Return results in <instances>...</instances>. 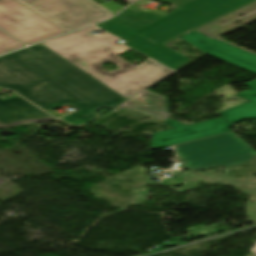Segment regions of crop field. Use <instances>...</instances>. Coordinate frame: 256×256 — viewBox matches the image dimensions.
Returning <instances> with one entry per match:
<instances>
[{
	"label": "crop field",
	"instance_id": "crop-field-1",
	"mask_svg": "<svg viewBox=\"0 0 256 256\" xmlns=\"http://www.w3.org/2000/svg\"><path fill=\"white\" fill-rule=\"evenodd\" d=\"M0 87L54 117L60 116L51 110L64 104L83 109L58 120L78 129L99 117L94 111L126 100L40 44L0 57Z\"/></svg>",
	"mask_w": 256,
	"mask_h": 256
},
{
	"label": "crop field",
	"instance_id": "crop-field-2",
	"mask_svg": "<svg viewBox=\"0 0 256 256\" xmlns=\"http://www.w3.org/2000/svg\"><path fill=\"white\" fill-rule=\"evenodd\" d=\"M177 7L162 16L148 10L126 9L96 26L126 41L124 45L176 70L192 61L165 46L254 0H160Z\"/></svg>",
	"mask_w": 256,
	"mask_h": 256
},
{
	"label": "crop field",
	"instance_id": "crop-field-3",
	"mask_svg": "<svg viewBox=\"0 0 256 256\" xmlns=\"http://www.w3.org/2000/svg\"><path fill=\"white\" fill-rule=\"evenodd\" d=\"M175 148L178 160L187 162V165L175 170L176 173H181L183 169L205 170L222 165L229 168L256 156V151L233 132L179 145Z\"/></svg>",
	"mask_w": 256,
	"mask_h": 256
},
{
	"label": "crop field",
	"instance_id": "crop-field-4",
	"mask_svg": "<svg viewBox=\"0 0 256 256\" xmlns=\"http://www.w3.org/2000/svg\"><path fill=\"white\" fill-rule=\"evenodd\" d=\"M181 38L206 54L225 60L227 62H230L239 67L256 73L255 54L249 53L216 39H210L195 31ZM198 40H205L206 45L203 46L199 44ZM244 84L249 86L250 90L235 95L247 99L249 100V102L219 113L231 125L245 119H256V80Z\"/></svg>",
	"mask_w": 256,
	"mask_h": 256
},
{
	"label": "crop field",
	"instance_id": "crop-field-5",
	"mask_svg": "<svg viewBox=\"0 0 256 256\" xmlns=\"http://www.w3.org/2000/svg\"><path fill=\"white\" fill-rule=\"evenodd\" d=\"M39 16L68 32L112 14L92 0H16ZM130 2L132 0H124ZM56 26V27H57Z\"/></svg>",
	"mask_w": 256,
	"mask_h": 256
},
{
	"label": "crop field",
	"instance_id": "crop-field-6",
	"mask_svg": "<svg viewBox=\"0 0 256 256\" xmlns=\"http://www.w3.org/2000/svg\"><path fill=\"white\" fill-rule=\"evenodd\" d=\"M0 29L28 45L65 33L15 0H0Z\"/></svg>",
	"mask_w": 256,
	"mask_h": 256
},
{
	"label": "crop field",
	"instance_id": "crop-field-7",
	"mask_svg": "<svg viewBox=\"0 0 256 256\" xmlns=\"http://www.w3.org/2000/svg\"><path fill=\"white\" fill-rule=\"evenodd\" d=\"M163 123L175 129L153 134L151 150L229 131L231 126L223 117L189 126L171 119Z\"/></svg>",
	"mask_w": 256,
	"mask_h": 256
},
{
	"label": "crop field",
	"instance_id": "crop-field-8",
	"mask_svg": "<svg viewBox=\"0 0 256 256\" xmlns=\"http://www.w3.org/2000/svg\"><path fill=\"white\" fill-rule=\"evenodd\" d=\"M128 48L117 45L115 43H110L78 57L68 60L70 63L74 64L81 70L85 71L95 79L104 83L132 68L129 63L123 60L121 57L117 56ZM105 61H111L119 66V69L113 72H105L100 69V66Z\"/></svg>",
	"mask_w": 256,
	"mask_h": 256
},
{
	"label": "crop field",
	"instance_id": "crop-field-9",
	"mask_svg": "<svg viewBox=\"0 0 256 256\" xmlns=\"http://www.w3.org/2000/svg\"><path fill=\"white\" fill-rule=\"evenodd\" d=\"M172 72L174 71L147 59L104 84L128 99Z\"/></svg>",
	"mask_w": 256,
	"mask_h": 256
},
{
	"label": "crop field",
	"instance_id": "crop-field-10",
	"mask_svg": "<svg viewBox=\"0 0 256 256\" xmlns=\"http://www.w3.org/2000/svg\"><path fill=\"white\" fill-rule=\"evenodd\" d=\"M94 28L84 29L41 44L68 60L110 42L119 41L106 33L99 36L87 33Z\"/></svg>",
	"mask_w": 256,
	"mask_h": 256
},
{
	"label": "crop field",
	"instance_id": "crop-field-11",
	"mask_svg": "<svg viewBox=\"0 0 256 256\" xmlns=\"http://www.w3.org/2000/svg\"><path fill=\"white\" fill-rule=\"evenodd\" d=\"M53 120L20 96L0 98V128Z\"/></svg>",
	"mask_w": 256,
	"mask_h": 256
},
{
	"label": "crop field",
	"instance_id": "crop-field-12",
	"mask_svg": "<svg viewBox=\"0 0 256 256\" xmlns=\"http://www.w3.org/2000/svg\"><path fill=\"white\" fill-rule=\"evenodd\" d=\"M123 106L132 108L161 121L171 117V114L167 113V98L148 91L128 101Z\"/></svg>",
	"mask_w": 256,
	"mask_h": 256
},
{
	"label": "crop field",
	"instance_id": "crop-field-13",
	"mask_svg": "<svg viewBox=\"0 0 256 256\" xmlns=\"http://www.w3.org/2000/svg\"><path fill=\"white\" fill-rule=\"evenodd\" d=\"M23 46L22 43L0 31V54Z\"/></svg>",
	"mask_w": 256,
	"mask_h": 256
},
{
	"label": "crop field",
	"instance_id": "crop-field-14",
	"mask_svg": "<svg viewBox=\"0 0 256 256\" xmlns=\"http://www.w3.org/2000/svg\"><path fill=\"white\" fill-rule=\"evenodd\" d=\"M251 251L254 253L253 255L256 254V243L253 245V247L251 248Z\"/></svg>",
	"mask_w": 256,
	"mask_h": 256
},
{
	"label": "crop field",
	"instance_id": "crop-field-15",
	"mask_svg": "<svg viewBox=\"0 0 256 256\" xmlns=\"http://www.w3.org/2000/svg\"><path fill=\"white\" fill-rule=\"evenodd\" d=\"M199 43H201V44H203V45L205 44V42H204V41H199Z\"/></svg>",
	"mask_w": 256,
	"mask_h": 256
},
{
	"label": "crop field",
	"instance_id": "crop-field-16",
	"mask_svg": "<svg viewBox=\"0 0 256 256\" xmlns=\"http://www.w3.org/2000/svg\"><path fill=\"white\" fill-rule=\"evenodd\" d=\"M0 90H4V89H1V88H0ZM8 91H9V90H8Z\"/></svg>",
	"mask_w": 256,
	"mask_h": 256
}]
</instances>
